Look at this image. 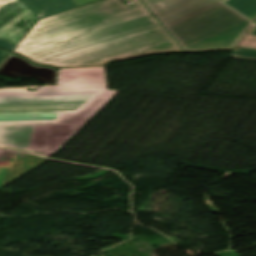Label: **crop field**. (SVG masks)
Here are the masks:
<instances>
[{
    "instance_id": "obj_1",
    "label": "crop field",
    "mask_w": 256,
    "mask_h": 256,
    "mask_svg": "<svg viewBox=\"0 0 256 256\" xmlns=\"http://www.w3.org/2000/svg\"><path fill=\"white\" fill-rule=\"evenodd\" d=\"M182 50L138 3L103 0L39 20L13 52L54 67Z\"/></svg>"
},
{
    "instance_id": "obj_2",
    "label": "crop field",
    "mask_w": 256,
    "mask_h": 256,
    "mask_svg": "<svg viewBox=\"0 0 256 256\" xmlns=\"http://www.w3.org/2000/svg\"><path fill=\"white\" fill-rule=\"evenodd\" d=\"M117 92L66 86L0 89V146L49 156Z\"/></svg>"
},
{
    "instance_id": "obj_3",
    "label": "crop field",
    "mask_w": 256,
    "mask_h": 256,
    "mask_svg": "<svg viewBox=\"0 0 256 256\" xmlns=\"http://www.w3.org/2000/svg\"><path fill=\"white\" fill-rule=\"evenodd\" d=\"M183 50L234 48L251 25L216 0H140Z\"/></svg>"
},
{
    "instance_id": "obj_4",
    "label": "crop field",
    "mask_w": 256,
    "mask_h": 256,
    "mask_svg": "<svg viewBox=\"0 0 256 256\" xmlns=\"http://www.w3.org/2000/svg\"><path fill=\"white\" fill-rule=\"evenodd\" d=\"M38 20L19 1L0 15V38L17 45Z\"/></svg>"
},
{
    "instance_id": "obj_5",
    "label": "crop field",
    "mask_w": 256,
    "mask_h": 256,
    "mask_svg": "<svg viewBox=\"0 0 256 256\" xmlns=\"http://www.w3.org/2000/svg\"><path fill=\"white\" fill-rule=\"evenodd\" d=\"M46 160L27 153L0 149V188Z\"/></svg>"
},
{
    "instance_id": "obj_6",
    "label": "crop field",
    "mask_w": 256,
    "mask_h": 256,
    "mask_svg": "<svg viewBox=\"0 0 256 256\" xmlns=\"http://www.w3.org/2000/svg\"><path fill=\"white\" fill-rule=\"evenodd\" d=\"M57 85L107 88L104 67L60 69Z\"/></svg>"
},
{
    "instance_id": "obj_7",
    "label": "crop field",
    "mask_w": 256,
    "mask_h": 256,
    "mask_svg": "<svg viewBox=\"0 0 256 256\" xmlns=\"http://www.w3.org/2000/svg\"><path fill=\"white\" fill-rule=\"evenodd\" d=\"M39 19L76 8L72 0H20Z\"/></svg>"
},
{
    "instance_id": "obj_8",
    "label": "crop field",
    "mask_w": 256,
    "mask_h": 256,
    "mask_svg": "<svg viewBox=\"0 0 256 256\" xmlns=\"http://www.w3.org/2000/svg\"><path fill=\"white\" fill-rule=\"evenodd\" d=\"M224 3L245 16L256 14V0H228Z\"/></svg>"
},
{
    "instance_id": "obj_9",
    "label": "crop field",
    "mask_w": 256,
    "mask_h": 256,
    "mask_svg": "<svg viewBox=\"0 0 256 256\" xmlns=\"http://www.w3.org/2000/svg\"><path fill=\"white\" fill-rule=\"evenodd\" d=\"M240 48L256 50V36L248 35L244 42L241 44Z\"/></svg>"
},
{
    "instance_id": "obj_10",
    "label": "crop field",
    "mask_w": 256,
    "mask_h": 256,
    "mask_svg": "<svg viewBox=\"0 0 256 256\" xmlns=\"http://www.w3.org/2000/svg\"><path fill=\"white\" fill-rule=\"evenodd\" d=\"M231 56L241 57V58H249V59H256V52L236 50Z\"/></svg>"
},
{
    "instance_id": "obj_11",
    "label": "crop field",
    "mask_w": 256,
    "mask_h": 256,
    "mask_svg": "<svg viewBox=\"0 0 256 256\" xmlns=\"http://www.w3.org/2000/svg\"><path fill=\"white\" fill-rule=\"evenodd\" d=\"M19 0H0V14Z\"/></svg>"
},
{
    "instance_id": "obj_12",
    "label": "crop field",
    "mask_w": 256,
    "mask_h": 256,
    "mask_svg": "<svg viewBox=\"0 0 256 256\" xmlns=\"http://www.w3.org/2000/svg\"><path fill=\"white\" fill-rule=\"evenodd\" d=\"M0 47L6 48V49L12 51L13 48L15 47V45L6 41V40H4V39H0Z\"/></svg>"
},
{
    "instance_id": "obj_13",
    "label": "crop field",
    "mask_w": 256,
    "mask_h": 256,
    "mask_svg": "<svg viewBox=\"0 0 256 256\" xmlns=\"http://www.w3.org/2000/svg\"><path fill=\"white\" fill-rule=\"evenodd\" d=\"M75 3L78 5V7L95 2V1H99V0H74Z\"/></svg>"
},
{
    "instance_id": "obj_14",
    "label": "crop field",
    "mask_w": 256,
    "mask_h": 256,
    "mask_svg": "<svg viewBox=\"0 0 256 256\" xmlns=\"http://www.w3.org/2000/svg\"><path fill=\"white\" fill-rule=\"evenodd\" d=\"M8 52L0 49V62L7 56Z\"/></svg>"
},
{
    "instance_id": "obj_15",
    "label": "crop field",
    "mask_w": 256,
    "mask_h": 256,
    "mask_svg": "<svg viewBox=\"0 0 256 256\" xmlns=\"http://www.w3.org/2000/svg\"><path fill=\"white\" fill-rule=\"evenodd\" d=\"M250 34L256 35V27L253 29V31Z\"/></svg>"
},
{
    "instance_id": "obj_16",
    "label": "crop field",
    "mask_w": 256,
    "mask_h": 256,
    "mask_svg": "<svg viewBox=\"0 0 256 256\" xmlns=\"http://www.w3.org/2000/svg\"><path fill=\"white\" fill-rule=\"evenodd\" d=\"M255 15H252V16H248L249 19L253 20Z\"/></svg>"
},
{
    "instance_id": "obj_17",
    "label": "crop field",
    "mask_w": 256,
    "mask_h": 256,
    "mask_svg": "<svg viewBox=\"0 0 256 256\" xmlns=\"http://www.w3.org/2000/svg\"><path fill=\"white\" fill-rule=\"evenodd\" d=\"M221 1H223V2H224L225 0H221Z\"/></svg>"
}]
</instances>
